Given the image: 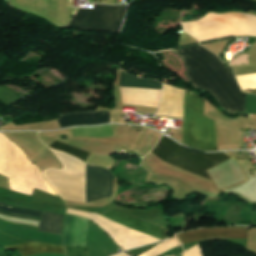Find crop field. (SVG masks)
<instances>
[{"label": "crop field", "mask_w": 256, "mask_h": 256, "mask_svg": "<svg viewBox=\"0 0 256 256\" xmlns=\"http://www.w3.org/2000/svg\"><path fill=\"white\" fill-rule=\"evenodd\" d=\"M187 64L194 87L210 93L223 110L245 111L246 94L240 91L230 67L200 45L174 50Z\"/></svg>", "instance_id": "obj_1"}, {"label": "crop field", "mask_w": 256, "mask_h": 256, "mask_svg": "<svg viewBox=\"0 0 256 256\" xmlns=\"http://www.w3.org/2000/svg\"><path fill=\"white\" fill-rule=\"evenodd\" d=\"M185 32L199 42L228 36L256 37V16L240 13H209L194 22H181Z\"/></svg>", "instance_id": "obj_2"}, {"label": "crop field", "mask_w": 256, "mask_h": 256, "mask_svg": "<svg viewBox=\"0 0 256 256\" xmlns=\"http://www.w3.org/2000/svg\"><path fill=\"white\" fill-rule=\"evenodd\" d=\"M183 143L204 151H217L214 120L204 115V98L186 90Z\"/></svg>", "instance_id": "obj_3"}, {"label": "crop field", "mask_w": 256, "mask_h": 256, "mask_svg": "<svg viewBox=\"0 0 256 256\" xmlns=\"http://www.w3.org/2000/svg\"><path fill=\"white\" fill-rule=\"evenodd\" d=\"M126 7L95 5V9L79 8L68 27L119 32Z\"/></svg>", "instance_id": "obj_4"}, {"label": "crop field", "mask_w": 256, "mask_h": 256, "mask_svg": "<svg viewBox=\"0 0 256 256\" xmlns=\"http://www.w3.org/2000/svg\"><path fill=\"white\" fill-rule=\"evenodd\" d=\"M114 176L102 167L87 164L86 168V200L93 202L112 196Z\"/></svg>", "instance_id": "obj_5"}, {"label": "crop field", "mask_w": 256, "mask_h": 256, "mask_svg": "<svg viewBox=\"0 0 256 256\" xmlns=\"http://www.w3.org/2000/svg\"><path fill=\"white\" fill-rule=\"evenodd\" d=\"M99 215L124 227L161 240L166 239L167 229L128 215L116 208Z\"/></svg>", "instance_id": "obj_6"}, {"label": "crop field", "mask_w": 256, "mask_h": 256, "mask_svg": "<svg viewBox=\"0 0 256 256\" xmlns=\"http://www.w3.org/2000/svg\"><path fill=\"white\" fill-rule=\"evenodd\" d=\"M181 245L216 238H248V227L198 229L177 235Z\"/></svg>", "instance_id": "obj_7"}, {"label": "crop field", "mask_w": 256, "mask_h": 256, "mask_svg": "<svg viewBox=\"0 0 256 256\" xmlns=\"http://www.w3.org/2000/svg\"><path fill=\"white\" fill-rule=\"evenodd\" d=\"M61 127L70 125H90L100 123H110V115L106 111L71 113L60 116L58 119Z\"/></svg>", "instance_id": "obj_8"}, {"label": "crop field", "mask_w": 256, "mask_h": 256, "mask_svg": "<svg viewBox=\"0 0 256 256\" xmlns=\"http://www.w3.org/2000/svg\"><path fill=\"white\" fill-rule=\"evenodd\" d=\"M172 154H175L177 156L199 163L201 165L207 166L209 168L231 158L223 152L199 153V152H193V151L187 150L181 146L177 150H175Z\"/></svg>", "instance_id": "obj_9"}, {"label": "crop field", "mask_w": 256, "mask_h": 256, "mask_svg": "<svg viewBox=\"0 0 256 256\" xmlns=\"http://www.w3.org/2000/svg\"><path fill=\"white\" fill-rule=\"evenodd\" d=\"M7 250H17L21 256H29L31 254L42 252H55L65 254V249L60 246L44 244V243H23L3 246Z\"/></svg>", "instance_id": "obj_10"}, {"label": "crop field", "mask_w": 256, "mask_h": 256, "mask_svg": "<svg viewBox=\"0 0 256 256\" xmlns=\"http://www.w3.org/2000/svg\"><path fill=\"white\" fill-rule=\"evenodd\" d=\"M64 217L65 215L44 212L38 230L63 235Z\"/></svg>", "instance_id": "obj_11"}, {"label": "crop field", "mask_w": 256, "mask_h": 256, "mask_svg": "<svg viewBox=\"0 0 256 256\" xmlns=\"http://www.w3.org/2000/svg\"><path fill=\"white\" fill-rule=\"evenodd\" d=\"M42 213L43 212H40V211L20 209V208H16L13 206L0 203V214H4L8 216L39 221Z\"/></svg>", "instance_id": "obj_12"}, {"label": "crop field", "mask_w": 256, "mask_h": 256, "mask_svg": "<svg viewBox=\"0 0 256 256\" xmlns=\"http://www.w3.org/2000/svg\"><path fill=\"white\" fill-rule=\"evenodd\" d=\"M120 75H121L120 85L156 88V89L162 88V83H160L156 80H149V79H142V78L134 77L130 74H127V73L121 72V71H120Z\"/></svg>", "instance_id": "obj_13"}, {"label": "crop field", "mask_w": 256, "mask_h": 256, "mask_svg": "<svg viewBox=\"0 0 256 256\" xmlns=\"http://www.w3.org/2000/svg\"><path fill=\"white\" fill-rule=\"evenodd\" d=\"M180 145L174 142L172 139L162 136L158 144L151 151L156 154L161 159H164L167 155L172 153L175 149H177Z\"/></svg>", "instance_id": "obj_14"}, {"label": "crop field", "mask_w": 256, "mask_h": 256, "mask_svg": "<svg viewBox=\"0 0 256 256\" xmlns=\"http://www.w3.org/2000/svg\"><path fill=\"white\" fill-rule=\"evenodd\" d=\"M165 161L173 163V164L178 165L180 167L186 168L188 170H191V171H194V172L199 173L201 175L209 177L208 174L205 171L209 168H206L204 166H201V165H198L196 163L190 162L188 160L182 159L180 157L174 156L172 154L169 155L167 158H165Z\"/></svg>", "instance_id": "obj_15"}, {"label": "crop field", "mask_w": 256, "mask_h": 256, "mask_svg": "<svg viewBox=\"0 0 256 256\" xmlns=\"http://www.w3.org/2000/svg\"><path fill=\"white\" fill-rule=\"evenodd\" d=\"M50 147L55 148L57 150L67 152V153L81 159L84 162L87 159V157L89 156V153H87V152L75 149L73 147L67 146V145L59 143L57 141H55L53 144H51Z\"/></svg>", "instance_id": "obj_16"}, {"label": "crop field", "mask_w": 256, "mask_h": 256, "mask_svg": "<svg viewBox=\"0 0 256 256\" xmlns=\"http://www.w3.org/2000/svg\"><path fill=\"white\" fill-rule=\"evenodd\" d=\"M68 214H66V221H65V231H64V238L62 244L65 246L66 243V234H67V223H68Z\"/></svg>", "instance_id": "obj_17"}, {"label": "crop field", "mask_w": 256, "mask_h": 256, "mask_svg": "<svg viewBox=\"0 0 256 256\" xmlns=\"http://www.w3.org/2000/svg\"><path fill=\"white\" fill-rule=\"evenodd\" d=\"M253 93H256V90H251Z\"/></svg>", "instance_id": "obj_18"}]
</instances>
